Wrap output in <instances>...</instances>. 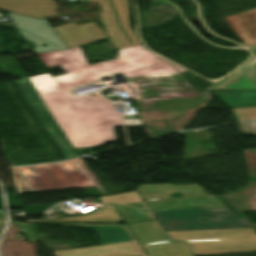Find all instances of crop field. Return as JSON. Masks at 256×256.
<instances>
[{
	"label": "crop field",
	"mask_w": 256,
	"mask_h": 256,
	"mask_svg": "<svg viewBox=\"0 0 256 256\" xmlns=\"http://www.w3.org/2000/svg\"><path fill=\"white\" fill-rule=\"evenodd\" d=\"M38 55L47 68L63 65L62 69L67 72L53 76L56 80L53 83L43 84L39 75L29 79L74 148L115 141L113 126H122L121 104L102 97L76 98L67 93V88L95 82L98 76L107 73L122 72L126 77H135L186 71L145 50L142 45L120 49L118 59L93 65H87L78 46Z\"/></svg>",
	"instance_id": "crop-field-1"
},
{
	"label": "crop field",
	"mask_w": 256,
	"mask_h": 256,
	"mask_svg": "<svg viewBox=\"0 0 256 256\" xmlns=\"http://www.w3.org/2000/svg\"><path fill=\"white\" fill-rule=\"evenodd\" d=\"M137 191L164 231L251 226L247 219L237 218L216 196H209L197 185H138ZM170 193H181L183 197L168 199ZM198 206L205 209L181 210ZM202 215L211 216L202 218Z\"/></svg>",
	"instance_id": "crop-field-2"
},
{
	"label": "crop field",
	"mask_w": 256,
	"mask_h": 256,
	"mask_svg": "<svg viewBox=\"0 0 256 256\" xmlns=\"http://www.w3.org/2000/svg\"><path fill=\"white\" fill-rule=\"evenodd\" d=\"M111 1L119 19V24L130 39V41L133 43V45L130 44V42L116 23L117 19L115 17L109 0H88V3L99 2L100 7L103 9V11L99 13L101 21H113V23L118 26L119 29L114 30H109L108 28H105L115 48L120 49L123 47L139 45L140 42L135 37L129 27L128 0ZM0 8L33 18L57 15V13L55 12L57 6L52 0H0Z\"/></svg>",
	"instance_id": "crop-field-3"
},
{
	"label": "crop field",
	"mask_w": 256,
	"mask_h": 256,
	"mask_svg": "<svg viewBox=\"0 0 256 256\" xmlns=\"http://www.w3.org/2000/svg\"><path fill=\"white\" fill-rule=\"evenodd\" d=\"M171 241L184 240L194 256L256 251L254 228L166 232Z\"/></svg>",
	"instance_id": "crop-field-4"
},
{
	"label": "crop field",
	"mask_w": 256,
	"mask_h": 256,
	"mask_svg": "<svg viewBox=\"0 0 256 256\" xmlns=\"http://www.w3.org/2000/svg\"><path fill=\"white\" fill-rule=\"evenodd\" d=\"M59 225L94 229L100 235L102 246L56 251L53 252L55 256H148L127 225L72 223H59Z\"/></svg>",
	"instance_id": "crop-field-5"
},
{
	"label": "crop field",
	"mask_w": 256,
	"mask_h": 256,
	"mask_svg": "<svg viewBox=\"0 0 256 256\" xmlns=\"http://www.w3.org/2000/svg\"><path fill=\"white\" fill-rule=\"evenodd\" d=\"M75 161H78L79 164L82 166L84 171L87 173L89 178L92 180V184L89 183L85 175L82 173L78 165ZM60 163H64L68 171L70 172L71 176L75 180L77 185H74L63 167ZM42 166L45 167L55 184L58 188H55L54 185L51 183L47 175L42 170ZM29 167L33 175L35 176L36 180L40 184L42 189H39L36 185L35 181L33 180L32 176L28 172L27 168ZM26 167H15L18 168L29 191H26L15 168H10L12 172V176L16 185V189L18 193L23 192H33V191H43V190H53V189H64V188H74V187H84V186H94L98 185V183L95 181L93 176L90 174L86 166L84 165L81 158L70 160V161H64L59 163H53V164H45V165H36V166H26Z\"/></svg>",
	"instance_id": "crop-field-6"
},
{
	"label": "crop field",
	"mask_w": 256,
	"mask_h": 256,
	"mask_svg": "<svg viewBox=\"0 0 256 256\" xmlns=\"http://www.w3.org/2000/svg\"><path fill=\"white\" fill-rule=\"evenodd\" d=\"M128 227L149 256H193L184 241L168 242L154 220L129 224Z\"/></svg>",
	"instance_id": "crop-field-7"
},
{
	"label": "crop field",
	"mask_w": 256,
	"mask_h": 256,
	"mask_svg": "<svg viewBox=\"0 0 256 256\" xmlns=\"http://www.w3.org/2000/svg\"><path fill=\"white\" fill-rule=\"evenodd\" d=\"M20 93L23 95L29 106L32 108L34 113L40 122L49 132L52 139L55 141L65 158H70L74 155L78 156L76 150L70 144L66 136L63 134L50 112L42 102L38 93L32 86L31 82L27 77L21 78L15 82Z\"/></svg>",
	"instance_id": "crop-field-8"
},
{
	"label": "crop field",
	"mask_w": 256,
	"mask_h": 256,
	"mask_svg": "<svg viewBox=\"0 0 256 256\" xmlns=\"http://www.w3.org/2000/svg\"><path fill=\"white\" fill-rule=\"evenodd\" d=\"M7 15L25 39L30 40L35 44L37 47L34 48L36 53L59 50V47L68 49L45 18L34 20L9 13H7ZM44 42H46L48 47L40 46Z\"/></svg>",
	"instance_id": "crop-field-9"
},
{
	"label": "crop field",
	"mask_w": 256,
	"mask_h": 256,
	"mask_svg": "<svg viewBox=\"0 0 256 256\" xmlns=\"http://www.w3.org/2000/svg\"><path fill=\"white\" fill-rule=\"evenodd\" d=\"M54 29L68 48L105 38L102 30L95 22L81 26H77L76 23H69Z\"/></svg>",
	"instance_id": "crop-field-10"
},
{
	"label": "crop field",
	"mask_w": 256,
	"mask_h": 256,
	"mask_svg": "<svg viewBox=\"0 0 256 256\" xmlns=\"http://www.w3.org/2000/svg\"><path fill=\"white\" fill-rule=\"evenodd\" d=\"M255 55L246 64L238 68L230 76L215 83L207 90L221 89H244L256 90V47H250Z\"/></svg>",
	"instance_id": "crop-field-11"
},
{
	"label": "crop field",
	"mask_w": 256,
	"mask_h": 256,
	"mask_svg": "<svg viewBox=\"0 0 256 256\" xmlns=\"http://www.w3.org/2000/svg\"><path fill=\"white\" fill-rule=\"evenodd\" d=\"M225 20L244 41L242 45H256V9L226 17Z\"/></svg>",
	"instance_id": "crop-field-12"
},
{
	"label": "crop field",
	"mask_w": 256,
	"mask_h": 256,
	"mask_svg": "<svg viewBox=\"0 0 256 256\" xmlns=\"http://www.w3.org/2000/svg\"><path fill=\"white\" fill-rule=\"evenodd\" d=\"M27 222H123L113 204L81 217H64L57 220H27Z\"/></svg>",
	"instance_id": "crop-field-13"
},
{
	"label": "crop field",
	"mask_w": 256,
	"mask_h": 256,
	"mask_svg": "<svg viewBox=\"0 0 256 256\" xmlns=\"http://www.w3.org/2000/svg\"><path fill=\"white\" fill-rule=\"evenodd\" d=\"M212 92L231 108L256 106V91L217 90Z\"/></svg>",
	"instance_id": "crop-field-14"
},
{
	"label": "crop field",
	"mask_w": 256,
	"mask_h": 256,
	"mask_svg": "<svg viewBox=\"0 0 256 256\" xmlns=\"http://www.w3.org/2000/svg\"><path fill=\"white\" fill-rule=\"evenodd\" d=\"M114 206L125 223L152 218L142 203H121Z\"/></svg>",
	"instance_id": "crop-field-15"
},
{
	"label": "crop field",
	"mask_w": 256,
	"mask_h": 256,
	"mask_svg": "<svg viewBox=\"0 0 256 256\" xmlns=\"http://www.w3.org/2000/svg\"><path fill=\"white\" fill-rule=\"evenodd\" d=\"M0 68L3 70L4 73L11 72L13 76L22 77L24 73L17 65L13 57L8 58H0Z\"/></svg>",
	"instance_id": "crop-field-16"
},
{
	"label": "crop field",
	"mask_w": 256,
	"mask_h": 256,
	"mask_svg": "<svg viewBox=\"0 0 256 256\" xmlns=\"http://www.w3.org/2000/svg\"><path fill=\"white\" fill-rule=\"evenodd\" d=\"M102 202L142 201L137 191L100 198Z\"/></svg>",
	"instance_id": "crop-field-17"
},
{
	"label": "crop field",
	"mask_w": 256,
	"mask_h": 256,
	"mask_svg": "<svg viewBox=\"0 0 256 256\" xmlns=\"http://www.w3.org/2000/svg\"><path fill=\"white\" fill-rule=\"evenodd\" d=\"M238 121H244L248 119L256 118V107L244 108V109H233Z\"/></svg>",
	"instance_id": "crop-field-18"
},
{
	"label": "crop field",
	"mask_w": 256,
	"mask_h": 256,
	"mask_svg": "<svg viewBox=\"0 0 256 256\" xmlns=\"http://www.w3.org/2000/svg\"><path fill=\"white\" fill-rule=\"evenodd\" d=\"M15 223L19 227V229L22 231V233L25 235V237L28 239V241H38L37 238L32 233L27 223H18V222H15Z\"/></svg>",
	"instance_id": "crop-field-19"
},
{
	"label": "crop field",
	"mask_w": 256,
	"mask_h": 256,
	"mask_svg": "<svg viewBox=\"0 0 256 256\" xmlns=\"http://www.w3.org/2000/svg\"><path fill=\"white\" fill-rule=\"evenodd\" d=\"M240 132L243 135H254V123L253 122H246L239 124Z\"/></svg>",
	"instance_id": "crop-field-20"
},
{
	"label": "crop field",
	"mask_w": 256,
	"mask_h": 256,
	"mask_svg": "<svg viewBox=\"0 0 256 256\" xmlns=\"http://www.w3.org/2000/svg\"><path fill=\"white\" fill-rule=\"evenodd\" d=\"M126 126H142L140 119H124Z\"/></svg>",
	"instance_id": "crop-field-21"
},
{
	"label": "crop field",
	"mask_w": 256,
	"mask_h": 256,
	"mask_svg": "<svg viewBox=\"0 0 256 256\" xmlns=\"http://www.w3.org/2000/svg\"><path fill=\"white\" fill-rule=\"evenodd\" d=\"M40 77H41L43 83L55 81L53 79L52 75L50 74V72L44 73V74H40Z\"/></svg>",
	"instance_id": "crop-field-22"
},
{
	"label": "crop field",
	"mask_w": 256,
	"mask_h": 256,
	"mask_svg": "<svg viewBox=\"0 0 256 256\" xmlns=\"http://www.w3.org/2000/svg\"><path fill=\"white\" fill-rule=\"evenodd\" d=\"M104 27H109V29L117 28L116 25L112 24V22H102Z\"/></svg>",
	"instance_id": "crop-field-23"
},
{
	"label": "crop field",
	"mask_w": 256,
	"mask_h": 256,
	"mask_svg": "<svg viewBox=\"0 0 256 256\" xmlns=\"http://www.w3.org/2000/svg\"><path fill=\"white\" fill-rule=\"evenodd\" d=\"M0 217H1V218H5V219H6V217H5V213H3V212H1V211H0Z\"/></svg>",
	"instance_id": "crop-field-24"
},
{
	"label": "crop field",
	"mask_w": 256,
	"mask_h": 256,
	"mask_svg": "<svg viewBox=\"0 0 256 256\" xmlns=\"http://www.w3.org/2000/svg\"><path fill=\"white\" fill-rule=\"evenodd\" d=\"M0 44H1V40H0ZM0 53H4V51L1 48V46H0Z\"/></svg>",
	"instance_id": "crop-field-25"
},
{
	"label": "crop field",
	"mask_w": 256,
	"mask_h": 256,
	"mask_svg": "<svg viewBox=\"0 0 256 256\" xmlns=\"http://www.w3.org/2000/svg\"><path fill=\"white\" fill-rule=\"evenodd\" d=\"M5 222V220H3V219H0V224H2V223H4Z\"/></svg>",
	"instance_id": "crop-field-26"
}]
</instances>
